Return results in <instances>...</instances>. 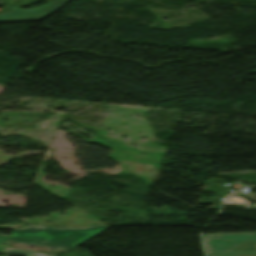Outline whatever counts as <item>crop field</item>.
Listing matches in <instances>:
<instances>
[{
  "label": "crop field",
  "instance_id": "2",
  "mask_svg": "<svg viewBox=\"0 0 256 256\" xmlns=\"http://www.w3.org/2000/svg\"><path fill=\"white\" fill-rule=\"evenodd\" d=\"M204 241L207 256H256L254 234H209Z\"/></svg>",
  "mask_w": 256,
  "mask_h": 256
},
{
  "label": "crop field",
  "instance_id": "1",
  "mask_svg": "<svg viewBox=\"0 0 256 256\" xmlns=\"http://www.w3.org/2000/svg\"><path fill=\"white\" fill-rule=\"evenodd\" d=\"M107 226L59 229L31 226L12 231L9 241L72 249Z\"/></svg>",
  "mask_w": 256,
  "mask_h": 256
},
{
  "label": "crop field",
  "instance_id": "3",
  "mask_svg": "<svg viewBox=\"0 0 256 256\" xmlns=\"http://www.w3.org/2000/svg\"><path fill=\"white\" fill-rule=\"evenodd\" d=\"M70 0H51L42 7L23 10L19 7L5 5L0 11V22L42 20Z\"/></svg>",
  "mask_w": 256,
  "mask_h": 256
},
{
  "label": "crop field",
  "instance_id": "4",
  "mask_svg": "<svg viewBox=\"0 0 256 256\" xmlns=\"http://www.w3.org/2000/svg\"><path fill=\"white\" fill-rule=\"evenodd\" d=\"M5 253L21 255V256H51V255L33 253V252H28V251L15 250V249H10V248H7Z\"/></svg>",
  "mask_w": 256,
  "mask_h": 256
},
{
  "label": "crop field",
  "instance_id": "5",
  "mask_svg": "<svg viewBox=\"0 0 256 256\" xmlns=\"http://www.w3.org/2000/svg\"><path fill=\"white\" fill-rule=\"evenodd\" d=\"M0 236L9 238L10 235L0 233Z\"/></svg>",
  "mask_w": 256,
  "mask_h": 256
}]
</instances>
